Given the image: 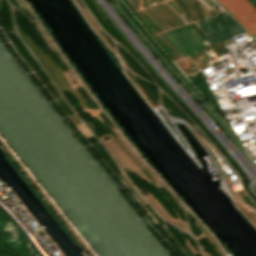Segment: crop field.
<instances>
[{
	"label": "crop field",
	"mask_w": 256,
	"mask_h": 256,
	"mask_svg": "<svg viewBox=\"0 0 256 256\" xmlns=\"http://www.w3.org/2000/svg\"><path fill=\"white\" fill-rule=\"evenodd\" d=\"M212 43L244 33L224 12L194 22Z\"/></svg>",
	"instance_id": "8a807250"
},
{
	"label": "crop field",
	"mask_w": 256,
	"mask_h": 256,
	"mask_svg": "<svg viewBox=\"0 0 256 256\" xmlns=\"http://www.w3.org/2000/svg\"><path fill=\"white\" fill-rule=\"evenodd\" d=\"M253 36L256 35V10L246 0H218Z\"/></svg>",
	"instance_id": "ac0d7876"
}]
</instances>
